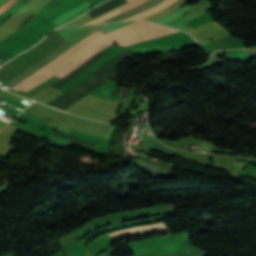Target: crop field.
<instances>
[{
  "mask_svg": "<svg viewBox=\"0 0 256 256\" xmlns=\"http://www.w3.org/2000/svg\"><path fill=\"white\" fill-rule=\"evenodd\" d=\"M175 32L179 31L145 21H135L130 25L120 27L82 46L56 68H52L53 70L26 85L22 90L27 91L54 74L61 78L64 77L91 55L113 44V42L123 47Z\"/></svg>",
  "mask_w": 256,
  "mask_h": 256,
  "instance_id": "crop-field-1",
  "label": "crop field"
},
{
  "mask_svg": "<svg viewBox=\"0 0 256 256\" xmlns=\"http://www.w3.org/2000/svg\"><path fill=\"white\" fill-rule=\"evenodd\" d=\"M103 35V33H101L99 30L92 33L91 35H89L88 37H86L85 39H83L81 42L73 45L74 47H76L77 49L92 41L93 39L99 37ZM73 46H71L68 50H66L64 53H62L61 55H59L57 58H55L53 61H51L50 63H48L47 65H45L44 67H42L41 69H39L38 71H36L35 73H33L31 76H29L28 78L22 80L21 82H19L18 84H16L14 87H12V89L18 91L19 89H21L24 85L30 83L31 81L37 79L38 77L42 76L43 74H45L46 72L50 71L52 68H54L55 66H57L58 64H60L63 60H65L68 56H70L74 51H76L77 49H75ZM81 48V47H80ZM25 87V86H24Z\"/></svg>",
  "mask_w": 256,
  "mask_h": 256,
  "instance_id": "crop-field-2",
  "label": "crop field"
},
{
  "mask_svg": "<svg viewBox=\"0 0 256 256\" xmlns=\"http://www.w3.org/2000/svg\"><path fill=\"white\" fill-rule=\"evenodd\" d=\"M152 233H167L163 223L151 225V226H144V227H137L129 230H123L111 233L110 236L113 240L121 238L123 236H135V235H144V234H152Z\"/></svg>",
  "mask_w": 256,
  "mask_h": 256,
  "instance_id": "crop-field-3",
  "label": "crop field"
},
{
  "mask_svg": "<svg viewBox=\"0 0 256 256\" xmlns=\"http://www.w3.org/2000/svg\"><path fill=\"white\" fill-rule=\"evenodd\" d=\"M176 0H164L163 2H161L159 5L151 8V9H148L146 11H143L141 13H138L134 16H131L129 18H126L124 20H130V19H142L144 17H147L149 15H152L156 12H159L163 9H165L166 7H168L169 5H171L173 2H175Z\"/></svg>",
  "mask_w": 256,
  "mask_h": 256,
  "instance_id": "crop-field-4",
  "label": "crop field"
},
{
  "mask_svg": "<svg viewBox=\"0 0 256 256\" xmlns=\"http://www.w3.org/2000/svg\"><path fill=\"white\" fill-rule=\"evenodd\" d=\"M91 5H90V2H86L84 3L83 5L79 6L78 8L74 9L73 11L67 13L66 15L62 16L61 18L57 19L56 21H54V23H62L66 20H68L69 18L75 16L76 14L84 11L85 9L89 8Z\"/></svg>",
  "mask_w": 256,
  "mask_h": 256,
  "instance_id": "crop-field-5",
  "label": "crop field"
},
{
  "mask_svg": "<svg viewBox=\"0 0 256 256\" xmlns=\"http://www.w3.org/2000/svg\"><path fill=\"white\" fill-rule=\"evenodd\" d=\"M120 13H122V11H120L118 8H116V9H114V10H112V11H110V12H108V13H106V14H104V15L96 18V19H94V20H91V21L85 23V24L100 23V22H102V21H104V20H106V19H108V18H110L114 15L120 14ZM85 24H83V25H85Z\"/></svg>",
  "mask_w": 256,
  "mask_h": 256,
  "instance_id": "crop-field-6",
  "label": "crop field"
},
{
  "mask_svg": "<svg viewBox=\"0 0 256 256\" xmlns=\"http://www.w3.org/2000/svg\"><path fill=\"white\" fill-rule=\"evenodd\" d=\"M100 25H101V24H100ZM104 25H105V24H104ZM107 25H109V24H107ZM107 25H105V26H107ZM97 26H99V25H95V26H93V27H91V28H89V29H87V30H85V31H83V32H80V33L76 34L75 36H73L72 38H70L69 40H67V42L70 43V42L72 41V42H73V43L71 42L72 44L76 43L77 41H79V40L85 38L86 36H88L89 34H91V33H92L91 31H90L91 33L88 32L89 34H87L86 32L89 31V30H91V29H93V28H95V27H97ZM102 26H103V25H102ZM105 26H103V27H105ZM100 27H101V26H100ZM103 27H101V28H103ZM98 28H99V27H98ZM101 28H99V29H101ZM96 29H97V28H96ZM94 30H95V29H94ZM92 31H93V30H92ZM93 32H94V31H93ZM71 43H70V44H71ZM72 44H71V45H72Z\"/></svg>",
  "mask_w": 256,
  "mask_h": 256,
  "instance_id": "crop-field-7",
  "label": "crop field"
},
{
  "mask_svg": "<svg viewBox=\"0 0 256 256\" xmlns=\"http://www.w3.org/2000/svg\"><path fill=\"white\" fill-rule=\"evenodd\" d=\"M145 1H147V0H133L131 2H128V3L118 7V8L121 9L123 12H125V11L145 2Z\"/></svg>",
  "mask_w": 256,
  "mask_h": 256,
  "instance_id": "crop-field-8",
  "label": "crop field"
},
{
  "mask_svg": "<svg viewBox=\"0 0 256 256\" xmlns=\"http://www.w3.org/2000/svg\"><path fill=\"white\" fill-rule=\"evenodd\" d=\"M92 2V4L95 6L97 4H99L100 2L104 1V0H90Z\"/></svg>",
  "mask_w": 256,
  "mask_h": 256,
  "instance_id": "crop-field-9",
  "label": "crop field"
},
{
  "mask_svg": "<svg viewBox=\"0 0 256 256\" xmlns=\"http://www.w3.org/2000/svg\"><path fill=\"white\" fill-rule=\"evenodd\" d=\"M10 0H8V1H6L2 6H4L7 2H9ZM2 6H0V8L2 7Z\"/></svg>",
  "mask_w": 256,
  "mask_h": 256,
  "instance_id": "crop-field-10",
  "label": "crop field"
},
{
  "mask_svg": "<svg viewBox=\"0 0 256 256\" xmlns=\"http://www.w3.org/2000/svg\"><path fill=\"white\" fill-rule=\"evenodd\" d=\"M12 105V104H11ZM14 106V105H13Z\"/></svg>",
  "mask_w": 256,
  "mask_h": 256,
  "instance_id": "crop-field-11",
  "label": "crop field"
},
{
  "mask_svg": "<svg viewBox=\"0 0 256 256\" xmlns=\"http://www.w3.org/2000/svg\"><path fill=\"white\" fill-rule=\"evenodd\" d=\"M128 1H130V0H128Z\"/></svg>",
  "mask_w": 256,
  "mask_h": 256,
  "instance_id": "crop-field-12",
  "label": "crop field"
}]
</instances>
